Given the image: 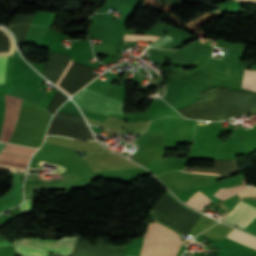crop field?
<instances>
[{
  "label": "crop field",
  "instance_id": "obj_19",
  "mask_svg": "<svg viewBox=\"0 0 256 256\" xmlns=\"http://www.w3.org/2000/svg\"><path fill=\"white\" fill-rule=\"evenodd\" d=\"M238 1H243V2H247V3L256 4V0H238Z\"/></svg>",
  "mask_w": 256,
  "mask_h": 256
},
{
  "label": "crop field",
  "instance_id": "obj_16",
  "mask_svg": "<svg viewBox=\"0 0 256 256\" xmlns=\"http://www.w3.org/2000/svg\"><path fill=\"white\" fill-rule=\"evenodd\" d=\"M7 56L0 57V83H4Z\"/></svg>",
  "mask_w": 256,
  "mask_h": 256
},
{
  "label": "crop field",
  "instance_id": "obj_12",
  "mask_svg": "<svg viewBox=\"0 0 256 256\" xmlns=\"http://www.w3.org/2000/svg\"><path fill=\"white\" fill-rule=\"evenodd\" d=\"M228 236L230 237H233L235 239H238L242 242H245L247 244H250L252 246H255L256 247V238L248 235V234H245L237 229H233L229 234Z\"/></svg>",
  "mask_w": 256,
  "mask_h": 256
},
{
  "label": "crop field",
  "instance_id": "obj_6",
  "mask_svg": "<svg viewBox=\"0 0 256 256\" xmlns=\"http://www.w3.org/2000/svg\"><path fill=\"white\" fill-rule=\"evenodd\" d=\"M94 246L78 238L75 248L70 256H122L124 250Z\"/></svg>",
  "mask_w": 256,
  "mask_h": 256
},
{
  "label": "crop field",
  "instance_id": "obj_9",
  "mask_svg": "<svg viewBox=\"0 0 256 256\" xmlns=\"http://www.w3.org/2000/svg\"><path fill=\"white\" fill-rule=\"evenodd\" d=\"M6 245H11V244L7 241L0 242V246H6ZM15 248L20 256H47L48 255L47 252H43L35 248H30L25 246H16V245H15Z\"/></svg>",
  "mask_w": 256,
  "mask_h": 256
},
{
  "label": "crop field",
  "instance_id": "obj_2",
  "mask_svg": "<svg viewBox=\"0 0 256 256\" xmlns=\"http://www.w3.org/2000/svg\"><path fill=\"white\" fill-rule=\"evenodd\" d=\"M75 103L84 109L106 114H124L125 103L87 88L73 96Z\"/></svg>",
  "mask_w": 256,
  "mask_h": 256
},
{
  "label": "crop field",
  "instance_id": "obj_4",
  "mask_svg": "<svg viewBox=\"0 0 256 256\" xmlns=\"http://www.w3.org/2000/svg\"><path fill=\"white\" fill-rule=\"evenodd\" d=\"M213 46V41L207 39H200L198 46V55L206 56L201 69L216 76L230 77L229 64L211 58V51L213 49Z\"/></svg>",
  "mask_w": 256,
  "mask_h": 256
},
{
  "label": "crop field",
  "instance_id": "obj_8",
  "mask_svg": "<svg viewBox=\"0 0 256 256\" xmlns=\"http://www.w3.org/2000/svg\"><path fill=\"white\" fill-rule=\"evenodd\" d=\"M0 158L14 160V161H20V162H25V163H27L28 159H29L27 157L15 156V155L4 154V153H0ZM4 159H0V164L21 167V168H25L27 165L25 163L14 162V161H9V160H4Z\"/></svg>",
  "mask_w": 256,
  "mask_h": 256
},
{
  "label": "crop field",
  "instance_id": "obj_7",
  "mask_svg": "<svg viewBox=\"0 0 256 256\" xmlns=\"http://www.w3.org/2000/svg\"><path fill=\"white\" fill-rule=\"evenodd\" d=\"M255 217L256 209L240 201L224 221L244 228Z\"/></svg>",
  "mask_w": 256,
  "mask_h": 256
},
{
  "label": "crop field",
  "instance_id": "obj_14",
  "mask_svg": "<svg viewBox=\"0 0 256 256\" xmlns=\"http://www.w3.org/2000/svg\"><path fill=\"white\" fill-rule=\"evenodd\" d=\"M215 46L245 51L248 45L242 43L216 40Z\"/></svg>",
  "mask_w": 256,
  "mask_h": 256
},
{
  "label": "crop field",
  "instance_id": "obj_17",
  "mask_svg": "<svg viewBox=\"0 0 256 256\" xmlns=\"http://www.w3.org/2000/svg\"><path fill=\"white\" fill-rule=\"evenodd\" d=\"M241 197L243 196H256V187L250 186L246 188L245 190L241 191L239 193Z\"/></svg>",
  "mask_w": 256,
  "mask_h": 256
},
{
  "label": "crop field",
  "instance_id": "obj_15",
  "mask_svg": "<svg viewBox=\"0 0 256 256\" xmlns=\"http://www.w3.org/2000/svg\"><path fill=\"white\" fill-rule=\"evenodd\" d=\"M32 206H33V199L25 200L20 205L22 215L32 213Z\"/></svg>",
  "mask_w": 256,
  "mask_h": 256
},
{
  "label": "crop field",
  "instance_id": "obj_18",
  "mask_svg": "<svg viewBox=\"0 0 256 256\" xmlns=\"http://www.w3.org/2000/svg\"><path fill=\"white\" fill-rule=\"evenodd\" d=\"M173 40L172 38H170L168 35L156 40L151 46H154V47H159L169 41Z\"/></svg>",
  "mask_w": 256,
  "mask_h": 256
},
{
  "label": "crop field",
  "instance_id": "obj_10",
  "mask_svg": "<svg viewBox=\"0 0 256 256\" xmlns=\"http://www.w3.org/2000/svg\"><path fill=\"white\" fill-rule=\"evenodd\" d=\"M209 202H211L206 195L201 192H196L186 203L192 207H195L201 210L205 207Z\"/></svg>",
  "mask_w": 256,
  "mask_h": 256
},
{
  "label": "crop field",
  "instance_id": "obj_11",
  "mask_svg": "<svg viewBox=\"0 0 256 256\" xmlns=\"http://www.w3.org/2000/svg\"><path fill=\"white\" fill-rule=\"evenodd\" d=\"M243 88L256 91V71L255 70H244Z\"/></svg>",
  "mask_w": 256,
  "mask_h": 256
},
{
  "label": "crop field",
  "instance_id": "obj_13",
  "mask_svg": "<svg viewBox=\"0 0 256 256\" xmlns=\"http://www.w3.org/2000/svg\"><path fill=\"white\" fill-rule=\"evenodd\" d=\"M243 189H245L244 185H238L226 189H219V191L215 193L214 196L222 201Z\"/></svg>",
  "mask_w": 256,
  "mask_h": 256
},
{
  "label": "crop field",
  "instance_id": "obj_3",
  "mask_svg": "<svg viewBox=\"0 0 256 256\" xmlns=\"http://www.w3.org/2000/svg\"><path fill=\"white\" fill-rule=\"evenodd\" d=\"M75 239L76 238L72 237H63L59 240H41L39 238H31L15 240L13 243L30 245L35 248L48 250L68 256L74 246Z\"/></svg>",
  "mask_w": 256,
  "mask_h": 256
},
{
  "label": "crop field",
  "instance_id": "obj_1",
  "mask_svg": "<svg viewBox=\"0 0 256 256\" xmlns=\"http://www.w3.org/2000/svg\"><path fill=\"white\" fill-rule=\"evenodd\" d=\"M180 244L174 231L157 222L150 223L146 230L140 256H175Z\"/></svg>",
  "mask_w": 256,
  "mask_h": 256
},
{
  "label": "crop field",
  "instance_id": "obj_5",
  "mask_svg": "<svg viewBox=\"0 0 256 256\" xmlns=\"http://www.w3.org/2000/svg\"><path fill=\"white\" fill-rule=\"evenodd\" d=\"M6 108L0 136L1 142H7L17 121L21 99L5 95Z\"/></svg>",
  "mask_w": 256,
  "mask_h": 256
}]
</instances>
